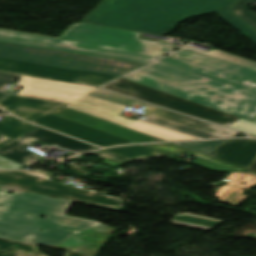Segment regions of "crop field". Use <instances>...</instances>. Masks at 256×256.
<instances>
[{
	"mask_svg": "<svg viewBox=\"0 0 256 256\" xmlns=\"http://www.w3.org/2000/svg\"><path fill=\"white\" fill-rule=\"evenodd\" d=\"M0 256H47L37 246L0 239ZM64 256H88L66 251Z\"/></svg>",
	"mask_w": 256,
	"mask_h": 256,
	"instance_id": "16",
	"label": "crop field"
},
{
	"mask_svg": "<svg viewBox=\"0 0 256 256\" xmlns=\"http://www.w3.org/2000/svg\"><path fill=\"white\" fill-rule=\"evenodd\" d=\"M62 105L64 104L13 95H9L0 101V107L11 114L92 144L104 147L133 143L123 138L48 114Z\"/></svg>",
	"mask_w": 256,
	"mask_h": 256,
	"instance_id": "5",
	"label": "crop field"
},
{
	"mask_svg": "<svg viewBox=\"0 0 256 256\" xmlns=\"http://www.w3.org/2000/svg\"><path fill=\"white\" fill-rule=\"evenodd\" d=\"M235 0H103L81 22L167 35L186 18L216 12L256 43V31L231 13Z\"/></svg>",
	"mask_w": 256,
	"mask_h": 256,
	"instance_id": "3",
	"label": "crop field"
},
{
	"mask_svg": "<svg viewBox=\"0 0 256 256\" xmlns=\"http://www.w3.org/2000/svg\"><path fill=\"white\" fill-rule=\"evenodd\" d=\"M227 178L232 179L231 182L228 184L241 186L245 188H249L256 183V177L246 173H232ZM242 181H245L246 183L244 185H241Z\"/></svg>",
	"mask_w": 256,
	"mask_h": 256,
	"instance_id": "25",
	"label": "crop field"
},
{
	"mask_svg": "<svg viewBox=\"0 0 256 256\" xmlns=\"http://www.w3.org/2000/svg\"><path fill=\"white\" fill-rule=\"evenodd\" d=\"M242 191L243 190L241 189L224 186L213 195L219 198L218 201L236 206L237 204H239L241 201L248 197L245 195H241Z\"/></svg>",
	"mask_w": 256,
	"mask_h": 256,
	"instance_id": "21",
	"label": "crop field"
},
{
	"mask_svg": "<svg viewBox=\"0 0 256 256\" xmlns=\"http://www.w3.org/2000/svg\"><path fill=\"white\" fill-rule=\"evenodd\" d=\"M18 77V75L0 72V93L5 94L8 84L14 82V80Z\"/></svg>",
	"mask_w": 256,
	"mask_h": 256,
	"instance_id": "27",
	"label": "crop field"
},
{
	"mask_svg": "<svg viewBox=\"0 0 256 256\" xmlns=\"http://www.w3.org/2000/svg\"><path fill=\"white\" fill-rule=\"evenodd\" d=\"M0 71L100 86L116 76L0 59Z\"/></svg>",
	"mask_w": 256,
	"mask_h": 256,
	"instance_id": "11",
	"label": "crop field"
},
{
	"mask_svg": "<svg viewBox=\"0 0 256 256\" xmlns=\"http://www.w3.org/2000/svg\"><path fill=\"white\" fill-rule=\"evenodd\" d=\"M34 141L67 148L77 153L98 149L97 147L73 140L60 134L42 128H37L22 137L14 139L0 146V155L30 167L40 162V158H38L39 156L32 154L22 148Z\"/></svg>",
	"mask_w": 256,
	"mask_h": 256,
	"instance_id": "10",
	"label": "crop field"
},
{
	"mask_svg": "<svg viewBox=\"0 0 256 256\" xmlns=\"http://www.w3.org/2000/svg\"><path fill=\"white\" fill-rule=\"evenodd\" d=\"M171 222L208 230V229L222 223L223 221L200 217V216L189 215V214H182V215H176Z\"/></svg>",
	"mask_w": 256,
	"mask_h": 256,
	"instance_id": "20",
	"label": "crop field"
},
{
	"mask_svg": "<svg viewBox=\"0 0 256 256\" xmlns=\"http://www.w3.org/2000/svg\"><path fill=\"white\" fill-rule=\"evenodd\" d=\"M253 122H256V117H255V119L253 120Z\"/></svg>",
	"mask_w": 256,
	"mask_h": 256,
	"instance_id": "31",
	"label": "crop field"
},
{
	"mask_svg": "<svg viewBox=\"0 0 256 256\" xmlns=\"http://www.w3.org/2000/svg\"><path fill=\"white\" fill-rule=\"evenodd\" d=\"M246 173L256 176V158L252 162V164L249 166V168L246 170Z\"/></svg>",
	"mask_w": 256,
	"mask_h": 256,
	"instance_id": "29",
	"label": "crop field"
},
{
	"mask_svg": "<svg viewBox=\"0 0 256 256\" xmlns=\"http://www.w3.org/2000/svg\"><path fill=\"white\" fill-rule=\"evenodd\" d=\"M70 204L0 187V238L97 256L116 229L64 215Z\"/></svg>",
	"mask_w": 256,
	"mask_h": 256,
	"instance_id": "2",
	"label": "crop field"
},
{
	"mask_svg": "<svg viewBox=\"0 0 256 256\" xmlns=\"http://www.w3.org/2000/svg\"><path fill=\"white\" fill-rule=\"evenodd\" d=\"M92 155L100 157L102 160H106L108 165L114 166V167H119L125 163H128L132 160H129L127 158L118 156L116 154L110 153L108 151L102 150L94 153H90Z\"/></svg>",
	"mask_w": 256,
	"mask_h": 256,
	"instance_id": "24",
	"label": "crop field"
},
{
	"mask_svg": "<svg viewBox=\"0 0 256 256\" xmlns=\"http://www.w3.org/2000/svg\"><path fill=\"white\" fill-rule=\"evenodd\" d=\"M3 96H5V95H1V94H0V98L3 97Z\"/></svg>",
	"mask_w": 256,
	"mask_h": 256,
	"instance_id": "32",
	"label": "crop field"
},
{
	"mask_svg": "<svg viewBox=\"0 0 256 256\" xmlns=\"http://www.w3.org/2000/svg\"><path fill=\"white\" fill-rule=\"evenodd\" d=\"M132 129L149 134L151 136L157 137L164 141L177 140V139H198V138L182 135V134L170 131V130H166V129L151 125V124L143 122V121L139 122Z\"/></svg>",
	"mask_w": 256,
	"mask_h": 256,
	"instance_id": "18",
	"label": "crop field"
},
{
	"mask_svg": "<svg viewBox=\"0 0 256 256\" xmlns=\"http://www.w3.org/2000/svg\"><path fill=\"white\" fill-rule=\"evenodd\" d=\"M103 88L149 101L226 127L239 119L235 116L204 107L177 96L147 88L122 78L104 86Z\"/></svg>",
	"mask_w": 256,
	"mask_h": 256,
	"instance_id": "9",
	"label": "crop field"
},
{
	"mask_svg": "<svg viewBox=\"0 0 256 256\" xmlns=\"http://www.w3.org/2000/svg\"><path fill=\"white\" fill-rule=\"evenodd\" d=\"M35 125L21 121L13 116H6L4 123H0V133L13 139L31 129Z\"/></svg>",
	"mask_w": 256,
	"mask_h": 256,
	"instance_id": "19",
	"label": "crop field"
},
{
	"mask_svg": "<svg viewBox=\"0 0 256 256\" xmlns=\"http://www.w3.org/2000/svg\"><path fill=\"white\" fill-rule=\"evenodd\" d=\"M52 173L0 171V186L118 210L121 199L50 180Z\"/></svg>",
	"mask_w": 256,
	"mask_h": 256,
	"instance_id": "7",
	"label": "crop field"
},
{
	"mask_svg": "<svg viewBox=\"0 0 256 256\" xmlns=\"http://www.w3.org/2000/svg\"><path fill=\"white\" fill-rule=\"evenodd\" d=\"M208 156L248 168L256 157L255 139H234L219 146Z\"/></svg>",
	"mask_w": 256,
	"mask_h": 256,
	"instance_id": "14",
	"label": "crop field"
},
{
	"mask_svg": "<svg viewBox=\"0 0 256 256\" xmlns=\"http://www.w3.org/2000/svg\"><path fill=\"white\" fill-rule=\"evenodd\" d=\"M228 140H221V141H202V142H184V143H174L179 146L197 151L199 153L207 155L212 150L217 148L222 143L226 142Z\"/></svg>",
	"mask_w": 256,
	"mask_h": 256,
	"instance_id": "23",
	"label": "crop field"
},
{
	"mask_svg": "<svg viewBox=\"0 0 256 256\" xmlns=\"http://www.w3.org/2000/svg\"><path fill=\"white\" fill-rule=\"evenodd\" d=\"M0 58L121 76L143 64L0 42Z\"/></svg>",
	"mask_w": 256,
	"mask_h": 256,
	"instance_id": "6",
	"label": "crop field"
},
{
	"mask_svg": "<svg viewBox=\"0 0 256 256\" xmlns=\"http://www.w3.org/2000/svg\"><path fill=\"white\" fill-rule=\"evenodd\" d=\"M22 77L16 86L23 87L19 96L68 103L97 87L66 83L42 78ZM88 95V94H87Z\"/></svg>",
	"mask_w": 256,
	"mask_h": 256,
	"instance_id": "12",
	"label": "crop field"
},
{
	"mask_svg": "<svg viewBox=\"0 0 256 256\" xmlns=\"http://www.w3.org/2000/svg\"><path fill=\"white\" fill-rule=\"evenodd\" d=\"M122 78L246 120L256 116V62L216 49L185 46Z\"/></svg>",
	"mask_w": 256,
	"mask_h": 256,
	"instance_id": "1",
	"label": "crop field"
},
{
	"mask_svg": "<svg viewBox=\"0 0 256 256\" xmlns=\"http://www.w3.org/2000/svg\"><path fill=\"white\" fill-rule=\"evenodd\" d=\"M139 34L73 23L58 38L0 28V41L143 64L171 51L169 44L139 40Z\"/></svg>",
	"mask_w": 256,
	"mask_h": 256,
	"instance_id": "4",
	"label": "crop field"
},
{
	"mask_svg": "<svg viewBox=\"0 0 256 256\" xmlns=\"http://www.w3.org/2000/svg\"><path fill=\"white\" fill-rule=\"evenodd\" d=\"M22 166L0 157V169H20Z\"/></svg>",
	"mask_w": 256,
	"mask_h": 256,
	"instance_id": "28",
	"label": "crop field"
},
{
	"mask_svg": "<svg viewBox=\"0 0 256 256\" xmlns=\"http://www.w3.org/2000/svg\"><path fill=\"white\" fill-rule=\"evenodd\" d=\"M50 114L101 130L135 142L162 141L149 135L125 128L62 106Z\"/></svg>",
	"mask_w": 256,
	"mask_h": 256,
	"instance_id": "13",
	"label": "crop field"
},
{
	"mask_svg": "<svg viewBox=\"0 0 256 256\" xmlns=\"http://www.w3.org/2000/svg\"><path fill=\"white\" fill-rule=\"evenodd\" d=\"M10 140L9 138L5 137L4 135L0 134V144Z\"/></svg>",
	"mask_w": 256,
	"mask_h": 256,
	"instance_id": "30",
	"label": "crop field"
},
{
	"mask_svg": "<svg viewBox=\"0 0 256 256\" xmlns=\"http://www.w3.org/2000/svg\"><path fill=\"white\" fill-rule=\"evenodd\" d=\"M110 152L119 154L121 156L127 157L132 160H138L146 157H156V156H166L168 158H173L172 155L142 146V145H134V146H122L115 147L111 149H106Z\"/></svg>",
	"mask_w": 256,
	"mask_h": 256,
	"instance_id": "17",
	"label": "crop field"
},
{
	"mask_svg": "<svg viewBox=\"0 0 256 256\" xmlns=\"http://www.w3.org/2000/svg\"><path fill=\"white\" fill-rule=\"evenodd\" d=\"M229 128L237 129L240 131L248 132L252 136H256V123L240 119L234 122Z\"/></svg>",
	"mask_w": 256,
	"mask_h": 256,
	"instance_id": "26",
	"label": "crop field"
},
{
	"mask_svg": "<svg viewBox=\"0 0 256 256\" xmlns=\"http://www.w3.org/2000/svg\"><path fill=\"white\" fill-rule=\"evenodd\" d=\"M147 146H150V147H153L156 149H160V150H163V151L175 154V155H177L181 152L196 155L198 157L192 162V164L209 169L214 172H244L245 171L244 168H241V167H238V166H235V165H232V164L199 154L197 152L179 147V146L171 144V143L149 144Z\"/></svg>",
	"mask_w": 256,
	"mask_h": 256,
	"instance_id": "15",
	"label": "crop field"
},
{
	"mask_svg": "<svg viewBox=\"0 0 256 256\" xmlns=\"http://www.w3.org/2000/svg\"><path fill=\"white\" fill-rule=\"evenodd\" d=\"M254 1L256 0H237L233 13L256 29V13L244 9L248 3Z\"/></svg>",
	"mask_w": 256,
	"mask_h": 256,
	"instance_id": "22",
	"label": "crop field"
},
{
	"mask_svg": "<svg viewBox=\"0 0 256 256\" xmlns=\"http://www.w3.org/2000/svg\"><path fill=\"white\" fill-rule=\"evenodd\" d=\"M90 94L107 99L109 101L121 104L126 107L134 105L146 107L144 110L148 111L149 122L159 124L171 129H175L184 133L195 135L202 138H218V137H234L238 131L228 128L216 126L206 123L194 118H190L178 113H174L156 106L145 104L136 100H132L120 95H116L103 90H96Z\"/></svg>",
	"mask_w": 256,
	"mask_h": 256,
	"instance_id": "8",
	"label": "crop field"
}]
</instances>
